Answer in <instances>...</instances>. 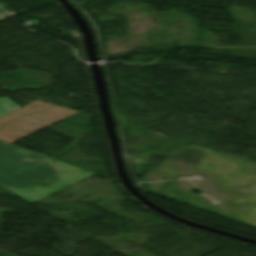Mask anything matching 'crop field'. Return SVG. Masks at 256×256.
Returning a JSON list of instances; mask_svg holds the SVG:
<instances>
[{
	"label": "crop field",
	"mask_w": 256,
	"mask_h": 256,
	"mask_svg": "<svg viewBox=\"0 0 256 256\" xmlns=\"http://www.w3.org/2000/svg\"><path fill=\"white\" fill-rule=\"evenodd\" d=\"M4 19H7V18L0 16V21L4 20Z\"/></svg>",
	"instance_id": "3"
},
{
	"label": "crop field",
	"mask_w": 256,
	"mask_h": 256,
	"mask_svg": "<svg viewBox=\"0 0 256 256\" xmlns=\"http://www.w3.org/2000/svg\"><path fill=\"white\" fill-rule=\"evenodd\" d=\"M20 108L7 97L0 98V117Z\"/></svg>",
	"instance_id": "2"
},
{
	"label": "crop field",
	"mask_w": 256,
	"mask_h": 256,
	"mask_svg": "<svg viewBox=\"0 0 256 256\" xmlns=\"http://www.w3.org/2000/svg\"><path fill=\"white\" fill-rule=\"evenodd\" d=\"M3 6H5V5L0 4V8H2Z\"/></svg>",
	"instance_id": "4"
},
{
	"label": "crop field",
	"mask_w": 256,
	"mask_h": 256,
	"mask_svg": "<svg viewBox=\"0 0 256 256\" xmlns=\"http://www.w3.org/2000/svg\"><path fill=\"white\" fill-rule=\"evenodd\" d=\"M91 174L0 142V186L30 203Z\"/></svg>",
	"instance_id": "1"
}]
</instances>
